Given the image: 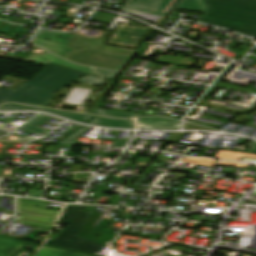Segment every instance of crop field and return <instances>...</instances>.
<instances>
[{
	"mask_svg": "<svg viewBox=\"0 0 256 256\" xmlns=\"http://www.w3.org/2000/svg\"><path fill=\"white\" fill-rule=\"evenodd\" d=\"M27 244L38 246L37 244L0 237V256H15L17 252ZM33 256H90V255H85V254L43 246Z\"/></svg>",
	"mask_w": 256,
	"mask_h": 256,
	"instance_id": "6",
	"label": "crop field"
},
{
	"mask_svg": "<svg viewBox=\"0 0 256 256\" xmlns=\"http://www.w3.org/2000/svg\"><path fill=\"white\" fill-rule=\"evenodd\" d=\"M127 142L115 141L113 146L124 147Z\"/></svg>",
	"mask_w": 256,
	"mask_h": 256,
	"instance_id": "21",
	"label": "crop field"
},
{
	"mask_svg": "<svg viewBox=\"0 0 256 256\" xmlns=\"http://www.w3.org/2000/svg\"><path fill=\"white\" fill-rule=\"evenodd\" d=\"M11 110H31V111H44L52 114H56L71 120H75L78 122H86L87 120L91 119L92 116H86V115H80V114H73V113H67V112H60V111H53V110H47V109H40V108H33V107H27V106H20V105H13L8 104L0 107V111H11Z\"/></svg>",
	"mask_w": 256,
	"mask_h": 256,
	"instance_id": "10",
	"label": "crop field"
},
{
	"mask_svg": "<svg viewBox=\"0 0 256 256\" xmlns=\"http://www.w3.org/2000/svg\"><path fill=\"white\" fill-rule=\"evenodd\" d=\"M95 112L104 116L123 117V118L144 116L141 114L128 113V112L109 110V109H103V108H97Z\"/></svg>",
	"mask_w": 256,
	"mask_h": 256,
	"instance_id": "15",
	"label": "crop field"
},
{
	"mask_svg": "<svg viewBox=\"0 0 256 256\" xmlns=\"http://www.w3.org/2000/svg\"><path fill=\"white\" fill-rule=\"evenodd\" d=\"M209 10L198 20L246 36H256V0H205Z\"/></svg>",
	"mask_w": 256,
	"mask_h": 256,
	"instance_id": "2",
	"label": "crop field"
},
{
	"mask_svg": "<svg viewBox=\"0 0 256 256\" xmlns=\"http://www.w3.org/2000/svg\"><path fill=\"white\" fill-rule=\"evenodd\" d=\"M73 37V34L55 33L41 30L37 33L31 43L64 57L80 50V48L68 47Z\"/></svg>",
	"mask_w": 256,
	"mask_h": 256,
	"instance_id": "5",
	"label": "crop field"
},
{
	"mask_svg": "<svg viewBox=\"0 0 256 256\" xmlns=\"http://www.w3.org/2000/svg\"><path fill=\"white\" fill-rule=\"evenodd\" d=\"M47 202L20 198L16 222L37 225L33 232L49 234L60 212L43 210Z\"/></svg>",
	"mask_w": 256,
	"mask_h": 256,
	"instance_id": "4",
	"label": "crop field"
},
{
	"mask_svg": "<svg viewBox=\"0 0 256 256\" xmlns=\"http://www.w3.org/2000/svg\"><path fill=\"white\" fill-rule=\"evenodd\" d=\"M97 72H99L103 78L113 80L114 77L117 75L116 72H110V71H104V70H98L95 69Z\"/></svg>",
	"mask_w": 256,
	"mask_h": 256,
	"instance_id": "19",
	"label": "crop field"
},
{
	"mask_svg": "<svg viewBox=\"0 0 256 256\" xmlns=\"http://www.w3.org/2000/svg\"><path fill=\"white\" fill-rule=\"evenodd\" d=\"M91 125L117 127V128H134L132 120H115L111 118L97 117L91 123Z\"/></svg>",
	"mask_w": 256,
	"mask_h": 256,
	"instance_id": "12",
	"label": "crop field"
},
{
	"mask_svg": "<svg viewBox=\"0 0 256 256\" xmlns=\"http://www.w3.org/2000/svg\"><path fill=\"white\" fill-rule=\"evenodd\" d=\"M178 120H173L164 117H148L139 119L140 127L144 129L157 130H176L179 125Z\"/></svg>",
	"mask_w": 256,
	"mask_h": 256,
	"instance_id": "9",
	"label": "crop field"
},
{
	"mask_svg": "<svg viewBox=\"0 0 256 256\" xmlns=\"http://www.w3.org/2000/svg\"><path fill=\"white\" fill-rule=\"evenodd\" d=\"M171 0H128L123 11L160 15Z\"/></svg>",
	"mask_w": 256,
	"mask_h": 256,
	"instance_id": "7",
	"label": "crop field"
},
{
	"mask_svg": "<svg viewBox=\"0 0 256 256\" xmlns=\"http://www.w3.org/2000/svg\"><path fill=\"white\" fill-rule=\"evenodd\" d=\"M85 74L50 64L15 91L0 88V104L2 102H19L47 107L55 92L65 88Z\"/></svg>",
	"mask_w": 256,
	"mask_h": 256,
	"instance_id": "1",
	"label": "crop field"
},
{
	"mask_svg": "<svg viewBox=\"0 0 256 256\" xmlns=\"http://www.w3.org/2000/svg\"><path fill=\"white\" fill-rule=\"evenodd\" d=\"M28 61L43 64V65H46L47 63L52 62V63H56V64L66 66V67H70V68H73V69H76V70H79V71H83V72H87V73H90V74L98 75L97 73H95L93 70H91L89 68H85V67L80 66V65L68 63V62H66V61H64V60L46 52V51H44V53L42 55L32 54Z\"/></svg>",
	"mask_w": 256,
	"mask_h": 256,
	"instance_id": "8",
	"label": "crop field"
},
{
	"mask_svg": "<svg viewBox=\"0 0 256 256\" xmlns=\"http://www.w3.org/2000/svg\"><path fill=\"white\" fill-rule=\"evenodd\" d=\"M86 128H81L78 131H76L74 134L66 138L64 141H62L60 144H69V145H82L79 143H75L76 138L79 134H81Z\"/></svg>",
	"mask_w": 256,
	"mask_h": 256,
	"instance_id": "18",
	"label": "crop field"
},
{
	"mask_svg": "<svg viewBox=\"0 0 256 256\" xmlns=\"http://www.w3.org/2000/svg\"><path fill=\"white\" fill-rule=\"evenodd\" d=\"M177 9L205 13L208 8L204 0H180L168 16L174 17Z\"/></svg>",
	"mask_w": 256,
	"mask_h": 256,
	"instance_id": "11",
	"label": "crop field"
},
{
	"mask_svg": "<svg viewBox=\"0 0 256 256\" xmlns=\"http://www.w3.org/2000/svg\"><path fill=\"white\" fill-rule=\"evenodd\" d=\"M121 234L122 233L104 230L97 238L96 242L111 248Z\"/></svg>",
	"mask_w": 256,
	"mask_h": 256,
	"instance_id": "14",
	"label": "crop field"
},
{
	"mask_svg": "<svg viewBox=\"0 0 256 256\" xmlns=\"http://www.w3.org/2000/svg\"><path fill=\"white\" fill-rule=\"evenodd\" d=\"M50 118L51 117L39 115L36 118H34L33 120H31L30 122H28L20 130H24V131H28V132L43 135V134L47 133L49 130L41 129V128H38V127L41 126L46 121H48Z\"/></svg>",
	"mask_w": 256,
	"mask_h": 256,
	"instance_id": "13",
	"label": "crop field"
},
{
	"mask_svg": "<svg viewBox=\"0 0 256 256\" xmlns=\"http://www.w3.org/2000/svg\"><path fill=\"white\" fill-rule=\"evenodd\" d=\"M100 215L102 214H95V213L91 214L87 224L85 225L84 229L80 233V236L86 238L91 233V231L95 228L94 226H91V225L98 219Z\"/></svg>",
	"mask_w": 256,
	"mask_h": 256,
	"instance_id": "16",
	"label": "crop field"
},
{
	"mask_svg": "<svg viewBox=\"0 0 256 256\" xmlns=\"http://www.w3.org/2000/svg\"><path fill=\"white\" fill-rule=\"evenodd\" d=\"M77 83H84V84H90V85H97L101 86L102 80L99 77L92 76V75H85L84 77L80 78L76 81Z\"/></svg>",
	"mask_w": 256,
	"mask_h": 256,
	"instance_id": "17",
	"label": "crop field"
},
{
	"mask_svg": "<svg viewBox=\"0 0 256 256\" xmlns=\"http://www.w3.org/2000/svg\"><path fill=\"white\" fill-rule=\"evenodd\" d=\"M84 208L80 205H66L58 223L67 225L54 241L48 240L46 244L105 256L109 248L78 236L91 214L84 212Z\"/></svg>",
	"mask_w": 256,
	"mask_h": 256,
	"instance_id": "3",
	"label": "crop field"
},
{
	"mask_svg": "<svg viewBox=\"0 0 256 256\" xmlns=\"http://www.w3.org/2000/svg\"><path fill=\"white\" fill-rule=\"evenodd\" d=\"M247 147H250V148L245 152L256 154V142L252 141L247 145Z\"/></svg>",
	"mask_w": 256,
	"mask_h": 256,
	"instance_id": "20",
	"label": "crop field"
}]
</instances>
